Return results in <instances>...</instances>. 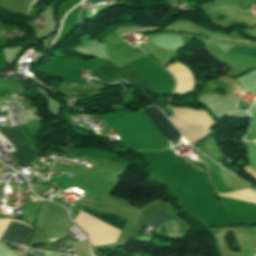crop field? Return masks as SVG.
<instances>
[{
	"label": "crop field",
	"mask_w": 256,
	"mask_h": 256,
	"mask_svg": "<svg viewBox=\"0 0 256 256\" xmlns=\"http://www.w3.org/2000/svg\"><path fill=\"white\" fill-rule=\"evenodd\" d=\"M82 211L122 230L123 226L125 225L126 223V220L122 219V218H119L113 214H108V213H97V212H93V211H90L86 208H82Z\"/></svg>",
	"instance_id": "5"
},
{
	"label": "crop field",
	"mask_w": 256,
	"mask_h": 256,
	"mask_svg": "<svg viewBox=\"0 0 256 256\" xmlns=\"http://www.w3.org/2000/svg\"><path fill=\"white\" fill-rule=\"evenodd\" d=\"M0 132L17 150L11 154L23 165H26L36 158L37 155H35L23 142V140L17 134L15 128L0 127Z\"/></svg>",
	"instance_id": "3"
},
{
	"label": "crop field",
	"mask_w": 256,
	"mask_h": 256,
	"mask_svg": "<svg viewBox=\"0 0 256 256\" xmlns=\"http://www.w3.org/2000/svg\"><path fill=\"white\" fill-rule=\"evenodd\" d=\"M138 238H143V239H150V237H147V238H145V237H138Z\"/></svg>",
	"instance_id": "10"
},
{
	"label": "crop field",
	"mask_w": 256,
	"mask_h": 256,
	"mask_svg": "<svg viewBox=\"0 0 256 256\" xmlns=\"http://www.w3.org/2000/svg\"><path fill=\"white\" fill-rule=\"evenodd\" d=\"M228 52L246 54V55H251L256 57V49H253V48L233 47Z\"/></svg>",
	"instance_id": "8"
},
{
	"label": "crop field",
	"mask_w": 256,
	"mask_h": 256,
	"mask_svg": "<svg viewBox=\"0 0 256 256\" xmlns=\"http://www.w3.org/2000/svg\"><path fill=\"white\" fill-rule=\"evenodd\" d=\"M29 232H30V229L28 227L20 223L11 222L6 228V230L4 231L0 240L11 241L14 243H24Z\"/></svg>",
	"instance_id": "4"
},
{
	"label": "crop field",
	"mask_w": 256,
	"mask_h": 256,
	"mask_svg": "<svg viewBox=\"0 0 256 256\" xmlns=\"http://www.w3.org/2000/svg\"><path fill=\"white\" fill-rule=\"evenodd\" d=\"M167 141L179 140L180 134L156 106L140 111Z\"/></svg>",
	"instance_id": "2"
},
{
	"label": "crop field",
	"mask_w": 256,
	"mask_h": 256,
	"mask_svg": "<svg viewBox=\"0 0 256 256\" xmlns=\"http://www.w3.org/2000/svg\"><path fill=\"white\" fill-rule=\"evenodd\" d=\"M44 256H60V255H57V254H52V253H45Z\"/></svg>",
	"instance_id": "9"
},
{
	"label": "crop field",
	"mask_w": 256,
	"mask_h": 256,
	"mask_svg": "<svg viewBox=\"0 0 256 256\" xmlns=\"http://www.w3.org/2000/svg\"><path fill=\"white\" fill-rule=\"evenodd\" d=\"M225 236V235H224Z\"/></svg>",
	"instance_id": "11"
},
{
	"label": "crop field",
	"mask_w": 256,
	"mask_h": 256,
	"mask_svg": "<svg viewBox=\"0 0 256 256\" xmlns=\"http://www.w3.org/2000/svg\"><path fill=\"white\" fill-rule=\"evenodd\" d=\"M169 237H175L181 235L179 225L177 222H170L164 225Z\"/></svg>",
	"instance_id": "7"
},
{
	"label": "crop field",
	"mask_w": 256,
	"mask_h": 256,
	"mask_svg": "<svg viewBox=\"0 0 256 256\" xmlns=\"http://www.w3.org/2000/svg\"><path fill=\"white\" fill-rule=\"evenodd\" d=\"M170 217L160 211H157L153 214V216L150 218L148 224L156 227H160L163 223H165Z\"/></svg>",
	"instance_id": "6"
},
{
	"label": "crop field",
	"mask_w": 256,
	"mask_h": 256,
	"mask_svg": "<svg viewBox=\"0 0 256 256\" xmlns=\"http://www.w3.org/2000/svg\"><path fill=\"white\" fill-rule=\"evenodd\" d=\"M91 72L106 83L117 82V79L124 78L130 84L152 93L150 83L130 63L119 69L107 61Z\"/></svg>",
	"instance_id": "1"
}]
</instances>
